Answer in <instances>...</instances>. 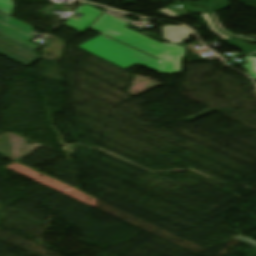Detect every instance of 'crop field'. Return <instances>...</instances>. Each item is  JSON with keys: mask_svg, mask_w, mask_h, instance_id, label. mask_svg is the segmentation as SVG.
<instances>
[{"mask_svg": "<svg viewBox=\"0 0 256 256\" xmlns=\"http://www.w3.org/2000/svg\"><path fill=\"white\" fill-rule=\"evenodd\" d=\"M161 12L165 13L166 15L172 17V18H175V17H179L180 15H178L177 13L165 8L163 10H160Z\"/></svg>", "mask_w": 256, "mask_h": 256, "instance_id": "obj_11", "label": "crop field"}, {"mask_svg": "<svg viewBox=\"0 0 256 256\" xmlns=\"http://www.w3.org/2000/svg\"><path fill=\"white\" fill-rule=\"evenodd\" d=\"M79 47L125 69L139 64L159 73V60L103 35H100Z\"/></svg>", "mask_w": 256, "mask_h": 256, "instance_id": "obj_2", "label": "crop field"}, {"mask_svg": "<svg viewBox=\"0 0 256 256\" xmlns=\"http://www.w3.org/2000/svg\"><path fill=\"white\" fill-rule=\"evenodd\" d=\"M33 28L0 12V33L28 47L38 48L29 43Z\"/></svg>", "mask_w": 256, "mask_h": 256, "instance_id": "obj_4", "label": "crop field"}, {"mask_svg": "<svg viewBox=\"0 0 256 256\" xmlns=\"http://www.w3.org/2000/svg\"><path fill=\"white\" fill-rule=\"evenodd\" d=\"M34 51L0 34V55L28 67L39 60Z\"/></svg>", "mask_w": 256, "mask_h": 256, "instance_id": "obj_3", "label": "crop field"}, {"mask_svg": "<svg viewBox=\"0 0 256 256\" xmlns=\"http://www.w3.org/2000/svg\"><path fill=\"white\" fill-rule=\"evenodd\" d=\"M244 58L248 60V63L245 64L246 69L249 71L252 77L256 79V58L250 56Z\"/></svg>", "mask_w": 256, "mask_h": 256, "instance_id": "obj_8", "label": "crop field"}, {"mask_svg": "<svg viewBox=\"0 0 256 256\" xmlns=\"http://www.w3.org/2000/svg\"><path fill=\"white\" fill-rule=\"evenodd\" d=\"M202 15H203V17L205 18V20H207V21L209 22L210 28H211V30H212L214 33H216L218 36H220V37L223 38V39H231L230 37L219 33L218 30L214 28V26H213V24L211 23V21H210L209 16H208L207 13L202 14Z\"/></svg>", "mask_w": 256, "mask_h": 256, "instance_id": "obj_9", "label": "crop field"}, {"mask_svg": "<svg viewBox=\"0 0 256 256\" xmlns=\"http://www.w3.org/2000/svg\"><path fill=\"white\" fill-rule=\"evenodd\" d=\"M129 25L103 13L90 27L121 42L160 58V73H180V61L185 56V48L173 44H161L137 32L129 30Z\"/></svg>", "mask_w": 256, "mask_h": 256, "instance_id": "obj_1", "label": "crop field"}, {"mask_svg": "<svg viewBox=\"0 0 256 256\" xmlns=\"http://www.w3.org/2000/svg\"><path fill=\"white\" fill-rule=\"evenodd\" d=\"M77 12L85 15L79 20L71 17L64 24L80 32H82L101 13V11L88 5L79 8Z\"/></svg>", "mask_w": 256, "mask_h": 256, "instance_id": "obj_5", "label": "crop field"}, {"mask_svg": "<svg viewBox=\"0 0 256 256\" xmlns=\"http://www.w3.org/2000/svg\"><path fill=\"white\" fill-rule=\"evenodd\" d=\"M106 12H108V13H110V14H112V15H114V16H116V17H118V18H120V19H122V20H124V21H126L128 23H130V24L133 23V21L124 18V16L127 15V14H123V13L116 12V11L109 10V9H107Z\"/></svg>", "mask_w": 256, "mask_h": 256, "instance_id": "obj_10", "label": "crop field"}, {"mask_svg": "<svg viewBox=\"0 0 256 256\" xmlns=\"http://www.w3.org/2000/svg\"><path fill=\"white\" fill-rule=\"evenodd\" d=\"M13 8H14V4H13L12 0H0V11L1 12L10 16Z\"/></svg>", "mask_w": 256, "mask_h": 256, "instance_id": "obj_7", "label": "crop field"}, {"mask_svg": "<svg viewBox=\"0 0 256 256\" xmlns=\"http://www.w3.org/2000/svg\"><path fill=\"white\" fill-rule=\"evenodd\" d=\"M236 238L239 239V240H241V241H243V242H245V243H247V244H249V245H251V246L256 247V242H253V241L248 240V239H246V238H243V237H241V236H238V237H236Z\"/></svg>", "mask_w": 256, "mask_h": 256, "instance_id": "obj_12", "label": "crop field"}, {"mask_svg": "<svg viewBox=\"0 0 256 256\" xmlns=\"http://www.w3.org/2000/svg\"><path fill=\"white\" fill-rule=\"evenodd\" d=\"M164 39L173 43L180 44L183 40H188V35L193 33L183 26H162Z\"/></svg>", "mask_w": 256, "mask_h": 256, "instance_id": "obj_6", "label": "crop field"}]
</instances>
